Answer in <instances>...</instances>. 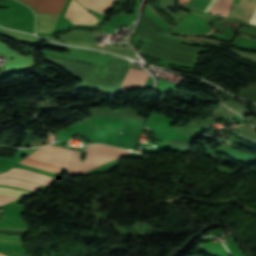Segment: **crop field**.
I'll use <instances>...</instances> for the list:
<instances>
[{
  "instance_id": "crop-field-1",
  "label": "crop field",
  "mask_w": 256,
  "mask_h": 256,
  "mask_svg": "<svg viewBox=\"0 0 256 256\" xmlns=\"http://www.w3.org/2000/svg\"><path fill=\"white\" fill-rule=\"evenodd\" d=\"M43 58L48 62L58 64L70 72L74 78L85 79L81 83L80 89H92L96 91H120V82L130 64L129 62L114 58L102 68L69 59L45 55H43Z\"/></svg>"
},
{
  "instance_id": "crop-field-2",
  "label": "crop field",
  "mask_w": 256,
  "mask_h": 256,
  "mask_svg": "<svg viewBox=\"0 0 256 256\" xmlns=\"http://www.w3.org/2000/svg\"><path fill=\"white\" fill-rule=\"evenodd\" d=\"M137 37L148 40L139 48V50L180 63L192 64L196 55L191 53H197L205 50V48L191 47L182 43L174 42L159 35Z\"/></svg>"
},
{
  "instance_id": "crop-field-3",
  "label": "crop field",
  "mask_w": 256,
  "mask_h": 256,
  "mask_svg": "<svg viewBox=\"0 0 256 256\" xmlns=\"http://www.w3.org/2000/svg\"><path fill=\"white\" fill-rule=\"evenodd\" d=\"M0 177L21 179V180L45 185L48 187L56 180V178H52L49 176H45V175L37 174L28 170L17 169V168H12L0 174Z\"/></svg>"
},
{
  "instance_id": "crop-field-4",
  "label": "crop field",
  "mask_w": 256,
  "mask_h": 256,
  "mask_svg": "<svg viewBox=\"0 0 256 256\" xmlns=\"http://www.w3.org/2000/svg\"><path fill=\"white\" fill-rule=\"evenodd\" d=\"M37 14L59 15L66 0H22Z\"/></svg>"
},
{
  "instance_id": "crop-field-5",
  "label": "crop field",
  "mask_w": 256,
  "mask_h": 256,
  "mask_svg": "<svg viewBox=\"0 0 256 256\" xmlns=\"http://www.w3.org/2000/svg\"><path fill=\"white\" fill-rule=\"evenodd\" d=\"M65 18L71 23L76 24L91 25L98 21L92 14L74 0L71 1Z\"/></svg>"
},
{
  "instance_id": "crop-field-6",
  "label": "crop field",
  "mask_w": 256,
  "mask_h": 256,
  "mask_svg": "<svg viewBox=\"0 0 256 256\" xmlns=\"http://www.w3.org/2000/svg\"><path fill=\"white\" fill-rule=\"evenodd\" d=\"M59 16L37 15V32L51 33Z\"/></svg>"
},
{
  "instance_id": "crop-field-7",
  "label": "crop field",
  "mask_w": 256,
  "mask_h": 256,
  "mask_svg": "<svg viewBox=\"0 0 256 256\" xmlns=\"http://www.w3.org/2000/svg\"><path fill=\"white\" fill-rule=\"evenodd\" d=\"M137 30L143 34H154L165 32L161 27H159L151 18L144 14Z\"/></svg>"
},
{
  "instance_id": "crop-field-8",
  "label": "crop field",
  "mask_w": 256,
  "mask_h": 256,
  "mask_svg": "<svg viewBox=\"0 0 256 256\" xmlns=\"http://www.w3.org/2000/svg\"><path fill=\"white\" fill-rule=\"evenodd\" d=\"M82 5L104 14V12L116 1V0H78Z\"/></svg>"
},
{
  "instance_id": "crop-field-9",
  "label": "crop field",
  "mask_w": 256,
  "mask_h": 256,
  "mask_svg": "<svg viewBox=\"0 0 256 256\" xmlns=\"http://www.w3.org/2000/svg\"><path fill=\"white\" fill-rule=\"evenodd\" d=\"M0 185L13 186L23 189L35 190L39 185L31 184L28 182L15 180V179H0Z\"/></svg>"
},
{
  "instance_id": "crop-field-10",
  "label": "crop field",
  "mask_w": 256,
  "mask_h": 256,
  "mask_svg": "<svg viewBox=\"0 0 256 256\" xmlns=\"http://www.w3.org/2000/svg\"><path fill=\"white\" fill-rule=\"evenodd\" d=\"M231 4L232 0H218L211 13L227 17Z\"/></svg>"
},
{
  "instance_id": "crop-field-11",
  "label": "crop field",
  "mask_w": 256,
  "mask_h": 256,
  "mask_svg": "<svg viewBox=\"0 0 256 256\" xmlns=\"http://www.w3.org/2000/svg\"><path fill=\"white\" fill-rule=\"evenodd\" d=\"M26 192L12 189V188H0V195H8V196H20Z\"/></svg>"
},
{
  "instance_id": "crop-field-12",
  "label": "crop field",
  "mask_w": 256,
  "mask_h": 256,
  "mask_svg": "<svg viewBox=\"0 0 256 256\" xmlns=\"http://www.w3.org/2000/svg\"><path fill=\"white\" fill-rule=\"evenodd\" d=\"M16 199L15 197H4V196H0V205H4L9 203L10 201Z\"/></svg>"
},
{
  "instance_id": "crop-field-13",
  "label": "crop field",
  "mask_w": 256,
  "mask_h": 256,
  "mask_svg": "<svg viewBox=\"0 0 256 256\" xmlns=\"http://www.w3.org/2000/svg\"><path fill=\"white\" fill-rule=\"evenodd\" d=\"M249 23L256 25V10H255V12H254V14H253V16H252V18H251Z\"/></svg>"
},
{
  "instance_id": "crop-field-14",
  "label": "crop field",
  "mask_w": 256,
  "mask_h": 256,
  "mask_svg": "<svg viewBox=\"0 0 256 256\" xmlns=\"http://www.w3.org/2000/svg\"><path fill=\"white\" fill-rule=\"evenodd\" d=\"M216 0H211V2L209 3V5L206 7L205 11L209 12L210 8L212 7V5L215 3Z\"/></svg>"
},
{
  "instance_id": "crop-field-15",
  "label": "crop field",
  "mask_w": 256,
  "mask_h": 256,
  "mask_svg": "<svg viewBox=\"0 0 256 256\" xmlns=\"http://www.w3.org/2000/svg\"><path fill=\"white\" fill-rule=\"evenodd\" d=\"M0 256H5L4 254L0 253Z\"/></svg>"
},
{
  "instance_id": "crop-field-16",
  "label": "crop field",
  "mask_w": 256,
  "mask_h": 256,
  "mask_svg": "<svg viewBox=\"0 0 256 256\" xmlns=\"http://www.w3.org/2000/svg\"><path fill=\"white\" fill-rule=\"evenodd\" d=\"M146 128H147L149 131H151L149 127H146Z\"/></svg>"
},
{
  "instance_id": "crop-field-17",
  "label": "crop field",
  "mask_w": 256,
  "mask_h": 256,
  "mask_svg": "<svg viewBox=\"0 0 256 256\" xmlns=\"http://www.w3.org/2000/svg\"><path fill=\"white\" fill-rule=\"evenodd\" d=\"M1 1H5V0H0V2H1Z\"/></svg>"
}]
</instances>
